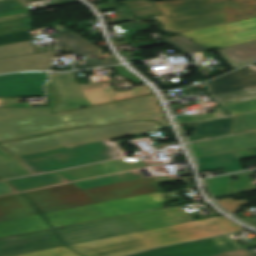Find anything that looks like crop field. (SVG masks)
<instances>
[{
  "mask_svg": "<svg viewBox=\"0 0 256 256\" xmlns=\"http://www.w3.org/2000/svg\"><path fill=\"white\" fill-rule=\"evenodd\" d=\"M244 228L219 216L194 222L69 245L82 256H122L147 248L228 233Z\"/></svg>",
  "mask_w": 256,
  "mask_h": 256,
  "instance_id": "obj_1",
  "label": "crop field"
},
{
  "mask_svg": "<svg viewBox=\"0 0 256 256\" xmlns=\"http://www.w3.org/2000/svg\"><path fill=\"white\" fill-rule=\"evenodd\" d=\"M165 15L153 17L166 32L179 33L256 17V0H183L154 3Z\"/></svg>",
  "mask_w": 256,
  "mask_h": 256,
  "instance_id": "obj_2",
  "label": "crop field"
},
{
  "mask_svg": "<svg viewBox=\"0 0 256 256\" xmlns=\"http://www.w3.org/2000/svg\"><path fill=\"white\" fill-rule=\"evenodd\" d=\"M183 209V208H182ZM180 206L56 229L66 245L192 221Z\"/></svg>",
  "mask_w": 256,
  "mask_h": 256,
  "instance_id": "obj_3",
  "label": "crop field"
},
{
  "mask_svg": "<svg viewBox=\"0 0 256 256\" xmlns=\"http://www.w3.org/2000/svg\"><path fill=\"white\" fill-rule=\"evenodd\" d=\"M155 122H124L105 127L80 128L1 143L15 156L39 152L59 147L106 140L136 133L162 129Z\"/></svg>",
  "mask_w": 256,
  "mask_h": 256,
  "instance_id": "obj_4",
  "label": "crop field"
},
{
  "mask_svg": "<svg viewBox=\"0 0 256 256\" xmlns=\"http://www.w3.org/2000/svg\"><path fill=\"white\" fill-rule=\"evenodd\" d=\"M67 114L49 107L0 108V142L68 129Z\"/></svg>",
  "mask_w": 256,
  "mask_h": 256,
  "instance_id": "obj_5",
  "label": "crop field"
},
{
  "mask_svg": "<svg viewBox=\"0 0 256 256\" xmlns=\"http://www.w3.org/2000/svg\"><path fill=\"white\" fill-rule=\"evenodd\" d=\"M165 201L161 192L94 205L57 213L46 214L53 227L160 208Z\"/></svg>",
  "mask_w": 256,
  "mask_h": 256,
  "instance_id": "obj_6",
  "label": "crop field"
},
{
  "mask_svg": "<svg viewBox=\"0 0 256 256\" xmlns=\"http://www.w3.org/2000/svg\"><path fill=\"white\" fill-rule=\"evenodd\" d=\"M155 95L127 101L101 105L92 108L67 112L70 126L79 127L88 124L136 116L162 110Z\"/></svg>",
  "mask_w": 256,
  "mask_h": 256,
  "instance_id": "obj_7",
  "label": "crop field"
},
{
  "mask_svg": "<svg viewBox=\"0 0 256 256\" xmlns=\"http://www.w3.org/2000/svg\"><path fill=\"white\" fill-rule=\"evenodd\" d=\"M210 48L226 47L256 39V18L181 33Z\"/></svg>",
  "mask_w": 256,
  "mask_h": 256,
  "instance_id": "obj_8",
  "label": "crop field"
},
{
  "mask_svg": "<svg viewBox=\"0 0 256 256\" xmlns=\"http://www.w3.org/2000/svg\"><path fill=\"white\" fill-rule=\"evenodd\" d=\"M41 214L99 204L97 200L74 185H62L25 193Z\"/></svg>",
  "mask_w": 256,
  "mask_h": 256,
  "instance_id": "obj_9",
  "label": "crop field"
},
{
  "mask_svg": "<svg viewBox=\"0 0 256 256\" xmlns=\"http://www.w3.org/2000/svg\"><path fill=\"white\" fill-rule=\"evenodd\" d=\"M239 246L226 235L158 248L130 256H208L256 246V240Z\"/></svg>",
  "mask_w": 256,
  "mask_h": 256,
  "instance_id": "obj_10",
  "label": "crop field"
},
{
  "mask_svg": "<svg viewBox=\"0 0 256 256\" xmlns=\"http://www.w3.org/2000/svg\"><path fill=\"white\" fill-rule=\"evenodd\" d=\"M50 80L51 82L46 85V93L52 113L91 105L79 87L73 73H50Z\"/></svg>",
  "mask_w": 256,
  "mask_h": 256,
  "instance_id": "obj_11",
  "label": "crop field"
},
{
  "mask_svg": "<svg viewBox=\"0 0 256 256\" xmlns=\"http://www.w3.org/2000/svg\"><path fill=\"white\" fill-rule=\"evenodd\" d=\"M192 177L156 181L154 177L85 190L99 202H109L161 191L158 183L188 180Z\"/></svg>",
  "mask_w": 256,
  "mask_h": 256,
  "instance_id": "obj_12",
  "label": "crop field"
},
{
  "mask_svg": "<svg viewBox=\"0 0 256 256\" xmlns=\"http://www.w3.org/2000/svg\"><path fill=\"white\" fill-rule=\"evenodd\" d=\"M47 82L45 72H25L0 75V96L42 97V85Z\"/></svg>",
  "mask_w": 256,
  "mask_h": 256,
  "instance_id": "obj_13",
  "label": "crop field"
},
{
  "mask_svg": "<svg viewBox=\"0 0 256 256\" xmlns=\"http://www.w3.org/2000/svg\"><path fill=\"white\" fill-rule=\"evenodd\" d=\"M63 244L52 230L0 240V256H13Z\"/></svg>",
  "mask_w": 256,
  "mask_h": 256,
  "instance_id": "obj_14",
  "label": "crop field"
},
{
  "mask_svg": "<svg viewBox=\"0 0 256 256\" xmlns=\"http://www.w3.org/2000/svg\"><path fill=\"white\" fill-rule=\"evenodd\" d=\"M210 96L256 88V63L204 84Z\"/></svg>",
  "mask_w": 256,
  "mask_h": 256,
  "instance_id": "obj_15",
  "label": "crop field"
},
{
  "mask_svg": "<svg viewBox=\"0 0 256 256\" xmlns=\"http://www.w3.org/2000/svg\"><path fill=\"white\" fill-rule=\"evenodd\" d=\"M145 166L146 165L144 164V162L139 157H136L131 159H118L102 162L86 167L58 171L57 173L66 178L67 180L73 181Z\"/></svg>",
  "mask_w": 256,
  "mask_h": 256,
  "instance_id": "obj_16",
  "label": "crop field"
},
{
  "mask_svg": "<svg viewBox=\"0 0 256 256\" xmlns=\"http://www.w3.org/2000/svg\"><path fill=\"white\" fill-rule=\"evenodd\" d=\"M256 147V134H236L216 140L192 144L196 157Z\"/></svg>",
  "mask_w": 256,
  "mask_h": 256,
  "instance_id": "obj_17",
  "label": "crop field"
},
{
  "mask_svg": "<svg viewBox=\"0 0 256 256\" xmlns=\"http://www.w3.org/2000/svg\"><path fill=\"white\" fill-rule=\"evenodd\" d=\"M54 56H56L55 51L1 58L0 73L30 69L48 70L50 67L51 58Z\"/></svg>",
  "mask_w": 256,
  "mask_h": 256,
  "instance_id": "obj_18",
  "label": "crop field"
},
{
  "mask_svg": "<svg viewBox=\"0 0 256 256\" xmlns=\"http://www.w3.org/2000/svg\"><path fill=\"white\" fill-rule=\"evenodd\" d=\"M37 214L21 193L0 197V222Z\"/></svg>",
  "mask_w": 256,
  "mask_h": 256,
  "instance_id": "obj_19",
  "label": "crop field"
},
{
  "mask_svg": "<svg viewBox=\"0 0 256 256\" xmlns=\"http://www.w3.org/2000/svg\"><path fill=\"white\" fill-rule=\"evenodd\" d=\"M40 215L0 223V237L49 229Z\"/></svg>",
  "mask_w": 256,
  "mask_h": 256,
  "instance_id": "obj_20",
  "label": "crop field"
},
{
  "mask_svg": "<svg viewBox=\"0 0 256 256\" xmlns=\"http://www.w3.org/2000/svg\"><path fill=\"white\" fill-rule=\"evenodd\" d=\"M217 51L221 52L223 57L236 68L256 60V40L217 49Z\"/></svg>",
  "mask_w": 256,
  "mask_h": 256,
  "instance_id": "obj_21",
  "label": "crop field"
},
{
  "mask_svg": "<svg viewBox=\"0 0 256 256\" xmlns=\"http://www.w3.org/2000/svg\"><path fill=\"white\" fill-rule=\"evenodd\" d=\"M235 153V152H234ZM233 152L200 157L198 159V170L224 169L225 173L243 170L238 158ZM200 163H203L202 165Z\"/></svg>",
  "mask_w": 256,
  "mask_h": 256,
  "instance_id": "obj_22",
  "label": "crop field"
},
{
  "mask_svg": "<svg viewBox=\"0 0 256 256\" xmlns=\"http://www.w3.org/2000/svg\"><path fill=\"white\" fill-rule=\"evenodd\" d=\"M59 44L60 52H76L98 56L102 51L91 42L77 36L74 33L54 37Z\"/></svg>",
  "mask_w": 256,
  "mask_h": 256,
  "instance_id": "obj_23",
  "label": "crop field"
},
{
  "mask_svg": "<svg viewBox=\"0 0 256 256\" xmlns=\"http://www.w3.org/2000/svg\"><path fill=\"white\" fill-rule=\"evenodd\" d=\"M32 174L18 159L0 148V177L3 179Z\"/></svg>",
  "mask_w": 256,
  "mask_h": 256,
  "instance_id": "obj_24",
  "label": "crop field"
},
{
  "mask_svg": "<svg viewBox=\"0 0 256 256\" xmlns=\"http://www.w3.org/2000/svg\"><path fill=\"white\" fill-rule=\"evenodd\" d=\"M232 123V117L197 123L195 135L207 137L225 135L229 133Z\"/></svg>",
  "mask_w": 256,
  "mask_h": 256,
  "instance_id": "obj_25",
  "label": "crop field"
},
{
  "mask_svg": "<svg viewBox=\"0 0 256 256\" xmlns=\"http://www.w3.org/2000/svg\"><path fill=\"white\" fill-rule=\"evenodd\" d=\"M253 172H243L238 173L234 175H227V176H221L217 178L207 179L204 180L206 184L209 183H215V182H221V181H227L230 180L231 176H236L239 180L232 181V194H239V193H245V192H251L256 191V187L253 184H256V181L254 183H250L251 181L245 176L247 174H251Z\"/></svg>",
  "mask_w": 256,
  "mask_h": 256,
  "instance_id": "obj_26",
  "label": "crop field"
},
{
  "mask_svg": "<svg viewBox=\"0 0 256 256\" xmlns=\"http://www.w3.org/2000/svg\"><path fill=\"white\" fill-rule=\"evenodd\" d=\"M231 116L256 112V97L241 101H224L219 102Z\"/></svg>",
  "mask_w": 256,
  "mask_h": 256,
  "instance_id": "obj_27",
  "label": "crop field"
},
{
  "mask_svg": "<svg viewBox=\"0 0 256 256\" xmlns=\"http://www.w3.org/2000/svg\"><path fill=\"white\" fill-rule=\"evenodd\" d=\"M162 40L163 42L167 43L168 45L172 46L183 54L211 50L201 45H198L180 35L164 38Z\"/></svg>",
  "mask_w": 256,
  "mask_h": 256,
  "instance_id": "obj_28",
  "label": "crop field"
},
{
  "mask_svg": "<svg viewBox=\"0 0 256 256\" xmlns=\"http://www.w3.org/2000/svg\"><path fill=\"white\" fill-rule=\"evenodd\" d=\"M28 11L30 9L23 0H0V17Z\"/></svg>",
  "mask_w": 256,
  "mask_h": 256,
  "instance_id": "obj_29",
  "label": "crop field"
},
{
  "mask_svg": "<svg viewBox=\"0 0 256 256\" xmlns=\"http://www.w3.org/2000/svg\"><path fill=\"white\" fill-rule=\"evenodd\" d=\"M234 118L235 123L230 134L247 130L256 133V113L235 116Z\"/></svg>",
  "mask_w": 256,
  "mask_h": 256,
  "instance_id": "obj_30",
  "label": "crop field"
},
{
  "mask_svg": "<svg viewBox=\"0 0 256 256\" xmlns=\"http://www.w3.org/2000/svg\"><path fill=\"white\" fill-rule=\"evenodd\" d=\"M34 53L30 41L0 46V58Z\"/></svg>",
  "mask_w": 256,
  "mask_h": 256,
  "instance_id": "obj_31",
  "label": "crop field"
},
{
  "mask_svg": "<svg viewBox=\"0 0 256 256\" xmlns=\"http://www.w3.org/2000/svg\"><path fill=\"white\" fill-rule=\"evenodd\" d=\"M133 120H154V121L160 123L164 127L169 126V123H168L167 119H165L162 111L149 113V114H145V115H140V116H136V117H131V118H126V119H120V120H115V121H110V122L88 125V126H100V125H105V124L118 123V122H124V121H133Z\"/></svg>",
  "mask_w": 256,
  "mask_h": 256,
  "instance_id": "obj_32",
  "label": "crop field"
},
{
  "mask_svg": "<svg viewBox=\"0 0 256 256\" xmlns=\"http://www.w3.org/2000/svg\"><path fill=\"white\" fill-rule=\"evenodd\" d=\"M225 117L227 116L222 112V110L217 109L215 113L199 115V116L183 115V116H178L177 119L180 125H183V124H189V123H195V122H201V121H207V120H213V119H219V118H225Z\"/></svg>",
  "mask_w": 256,
  "mask_h": 256,
  "instance_id": "obj_33",
  "label": "crop field"
},
{
  "mask_svg": "<svg viewBox=\"0 0 256 256\" xmlns=\"http://www.w3.org/2000/svg\"><path fill=\"white\" fill-rule=\"evenodd\" d=\"M18 256H79L65 246L18 255Z\"/></svg>",
  "mask_w": 256,
  "mask_h": 256,
  "instance_id": "obj_34",
  "label": "crop field"
},
{
  "mask_svg": "<svg viewBox=\"0 0 256 256\" xmlns=\"http://www.w3.org/2000/svg\"><path fill=\"white\" fill-rule=\"evenodd\" d=\"M214 198L228 196L231 193V181L206 185Z\"/></svg>",
  "mask_w": 256,
  "mask_h": 256,
  "instance_id": "obj_35",
  "label": "crop field"
},
{
  "mask_svg": "<svg viewBox=\"0 0 256 256\" xmlns=\"http://www.w3.org/2000/svg\"><path fill=\"white\" fill-rule=\"evenodd\" d=\"M32 36L29 32H18L0 36V45L11 44L16 42L32 40Z\"/></svg>",
  "mask_w": 256,
  "mask_h": 256,
  "instance_id": "obj_36",
  "label": "crop field"
},
{
  "mask_svg": "<svg viewBox=\"0 0 256 256\" xmlns=\"http://www.w3.org/2000/svg\"><path fill=\"white\" fill-rule=\"evenodd\" d=\"M217 202L221 206H223L227 211H229L230 213L239 212V210L242 209L240 206L250 204L248 201H244V200L234 201L232 198L224 199V200H218Z\"/></svg>",
  "mask_w": 256,
  "mask_h": 256,
  "instance_id": "obj_37",
  "label": "crop field"
},
{
  "mask_svg": "<svg viewBox=\"0 0 256 256\" xmlns=\"http://www.w3.org/2000/svg\"><path fill=\"white\" fill-rule=\"evenodd\" d=\"M254 96H256V90H250V91H245V92L214 96L213 99L217 102L223 101V100L233 101V100H240V99L254 97Z\"/></svg>",
  "mask_w": 256,
  "mask_h": 256,
  "instance_id": "obj_38",
  "label": "crop field"
},
{
  "mask_svg": "<svg viewBox=\"0 0 256 256\" xmlns=\"http://www.w3.org/2000/svg\"><path fill=\"white\" fill-rule=\"evenodd\" d=\"M115 63H119V61L115 56L111 58L103 59V60H95L89 57H85L84 65H79V67L80 68L97 67V66H104L107 64H115Z\"/></svg>",
  "mask_w": 256,
  "mask_h": 256,
  "instance_id": "obj_39",
  "label": "crop field"
},
{
  "mask_svg": "<svg viewBox=\"0 0 256 256\" xmlns=\"http://www.w3.org/2000/svg\"><path fill=\"white\" fill-rule=\"evenodd\" d=\"M214 256H254V255L251 254L246 249H244V250H240V251L224 253V254H219V255H214Z\"/></svg>",
  "mask_w": 256,
  "mask_h": 256,
  "instance_id": "obj_40",
  "label": "crop field"
},
{
  "mask_svg": "<svg viewBox=\"0 0 256 256\" xmlns=\"http://www.w3.org/2000/svg\"><path fill=\"white\" fill-rule=\"evenodd\" d=\"M23 17H25V13L19 14V15H14V16L2 17V18H0V22L12 20V19L23 18Z\"/></svg>",
  "mask_w": 256,
  "mask_h": 256,
  "instance_id": "obj_41",
  "label": "crop field"
},
{
  "mask_svg": "<svg viewBox=\"0 0 256 256\" xmlns=\"http://www.w3.org/2000/svg\"><path fill=\"white\" fill-rule=\"evenodd\" d=\"M54 1H55L56 4H52L50 6L65 4V3H71V2H77L78 0H54Z\"/></svg>",
  "mask_w": 256,
  "mask_h": 256,
  "instance_id": "obj_42",
  "label": "crop field"
},
{
  "mask_svg": "<svg viewBox=\"0 0 256 256\" xmlns=\"http://www.w3.org/2000/svg\"><path fill=\"white\" fill-rule=\"evenodd\" d=\"M243 220H244L245 222H247V223L253 225V226H256V222H255L254 220H252L251 217L245 218V219H243Z\"/></svg>",
  "mask_w": 256,
  "mask_h": 256,
  "instance_id": "obj_43",
  "label": "crop field"
},
{
  "mask_svg": "<svg viewBox=\"0 0 256 256\" xmlns=\"http://www.w3.org/2000/svg\"><path fill=\"white\" fill-rule=\"evenodd\" d=\"M189 139L191 141H195V140H201V139H205V138H201V137H189Z\"/></svg>",
  "mask_w": 256,
  "mask_h": 256,
  "instance_id": "obj_44",
  "label": "crop field"
},
{
  "mask_svg": "<svg viewBox=\"0 0 256 256\" xmlns=\"http://www.w3.org/2000/svg\"><path fill=\"white\" fill-rule=\"evenodd\" d=\"M250 152H252L256 156V148H250L248 149Z\"/></svg>",
  "mask_w": 256,
  "mask_h": 256,
  "instance_id": "obj_45",
  "label": "crop field"
},
{
  "mask_svg": "<svg viewBox=\"0 0 256 256\" xmlns=\"http://www.w3.org/2000/svg\"><path fill=\"white\" fill-rule=\"evenodd\" d=\"M136 175L138 176L139 179L145 178V176H144L142 173H138V174H136Z\"/></svg>",
  "mask_w": 256,
  "mask_h": 256,
  "instance_id": "obj_46",
  "label": "crop field"
},
{
  "mask_svg": "<svg viewBox=\"0 0 256 256\" xmlns=\"http://www.w3.org/2000/svg\"><path fill=\"white\" fill-rule=\"evenodd\" d=\"M2 179L0 178V181H1Z\"/></svg>",
  "mask_w": 256,
  "mask_h": 256,
  "instance_id": "obj_47",
  "label": "crop field"
}]
</instances>
